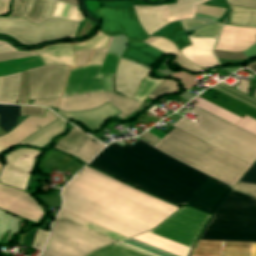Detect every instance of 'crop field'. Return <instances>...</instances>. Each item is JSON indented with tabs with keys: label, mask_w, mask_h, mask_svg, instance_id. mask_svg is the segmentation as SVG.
Wrapping results in <instances>:
<instances>
[{
	"label": "crop field",
	"mask_w": 256,
	"mask_h": 256,
	"mask_svg": "<svg viewBox=\"0 0 256 256\" xmlns=\"http://www.w3.org/2000/svg\"><path fill=\"white\" fill-rule=\"evenodd\" d=\"M92 51H81L75 52L76 55V67L79 65L86 64Z\"/></svg>",
	"instance_id": "obj_53"
},
{
	"label": "crop field",
	"mask_w": 256,
	"mask_h": 256,
	"mask_svg": "<svg viewBox=\"0 0 256 256\" xmlns=\"http://www.w3.org/2000/svg\"><path fill=\"white\" fill-rule=\"evenodd\" d=\"M119 59L118 55L107 54L103 66L100 70L99 75H110L113 76L115 68L117 66V61Z\"/></svg>",
	"instance_id": "obj_41"
},
{
	"label": "crop field",
	"mask_w": 256,
	"mask_h": 256,
	"mask_svg": "<svg viewBox=\"0 0 256 256\" xmlns=\"http://www.w3.org/2000/svg\"><path fill=\"white\" fill-rule=\"evenodd\" d=\"M17 104H28L27 70L22 72Z\"/></svg>",
	"instance_id": "obj_44"
},
{
	"label": "crop field",
	"mask_w": 256,
	"mask_h": 256,
	"mask_svg": "<svg viewBox=\"0 0 256 256\" xmlns=\"http://www.w3.org/2000/svg\"><path fill=\"white\" fill-rule=\"evenodd\" d=\"M69 68L62 65H50L29 69V99L60 96Z\"/></svg>",
	"instance_id": "obj_12"
},
{
	"label": "crop field",
	"mask_w": 256,
	"mask_h": 256,
	"mask_svg": "<svg viewBox=\"0 0 256 256\" xmlns=\"http://www.w3.org/2000/svg\"><path fill=\"white\" fill-rule=\"evenodd\" d=\"M62 196V210L126 238L156 227L178 209L87 167Z\"/></svg>",
	"instance_id": "obj_1"
},
{
	"label": "crop field",
	"mask_w": 256,
	"mask_h": 256,
	"mask_svg": "<svg viewBox=\"0 0 256 256\" xmlns=\"http://www.w3.org/2000/svg\"><path fill=\"white\" fill-rule=\"evenodd\" d=\"M199 97H201V98H203V99H205V100H207V101H209V102H211V103H213V104H215V105H217V106H219V107H221V108H223V109H225V110H227V111H229V112H231V113H233V114H235V115H237L241 118H243V116H244L243 114H241V113H239V112H237V111H235V110H233V109H231V108H229V107H227V106H225V105H223V104H221V103H219V102H217V101H215V100H213V99H211V98H209V97H207L203 94L199 95Z\"/></svg>",
	"instance_id": "obj_54"
},
{
	"label": "crop field",
	"mask_w": 256,
	"mask_h": 256,
	"mask_svg": "<svg viewBox=\"0 0 256 256\" xmlns=\"http://www.w3.org/2000/svg\"><path fill=\"white\" fill-rule=\"evenodd\" d=\"M65 123V121L59 118L57 121L34 133L20 144H31L43 147L49 142L52 136L64 131Z\"/></svg>",
	"instance_id": "obj_29"
},
{
	"label": "crop field",
	"mask_w": 256,
	"mask_h": 256,
	"mask_svg": "<svg viewBox=\"0 0 256 256\" xmlns=\"http://www.w3.org/2000/svg\"><path fill=\"white\" fill-rule=\"evenodd\" d=\"M177 89L178 87L176 83L164 80L149 97L156 99L159 95L163 93L172 92Z\"/></svg>",
	"instance_id": "obj_45"
},
{
	"label": "crop field",
	"mask_w": 256,
	"mask_h": 256,
	"mask_svg": "<svg viewBox=\"0 0 256 256\" xmlns=\"http://www.w3.org/2000/svg\"><path fill=\"white\" fill-rule=\"evenodd\" d=\"M233 189L256 197V185L238 182Z\"/></svg>",
	"instance_id": "obj_49"
},
{
	"label": "crop field",
	"mask_w": 256,
	"mask_h": 256,
	"mask_svg": "<svg viewBox=\"0 0 256 256\" xmlns=\"http://www.w3.org/2000/svg\"><path fill=\"white\" fill-rule=\"evenodd\" d=\"M229 4L256 8V0H227ZM256 43V28L223 25L214 49L240 52Z\"/></svg>",
	"instance_id": "obj_16"
},
{
	"label": "crop field",
	"mask_w": 256,
	"mask_h": 256,
	"mask_svg": "<svg viewBox=\"0 0 256 256\" xmlns=\"http://www.w3.org/2000/svg\"><path fill=\"white\" fill-rule=\"evenodd\" d=\"M89 165L174 204H187L196 193L109 146Z\"/></svg>",
	"instance_id": "obj_2"
},
{
	"label": "crop field",
	"mask_w": 256,
	"mask_h": 256,
	"mask_svg": "<svg viewBox=\"0 0 256 256\" xmlns=\"http://www.w3.org/2000/svg\"><path fill=\"white\" fill-rule=\"evenodd\" d=\"M162 80L151 79L149 75H147L140 83V88L134 95V99L139 101H144L147 96H149L153 90L160 84Z\"/></svg>",
	"instance_id": "obj_38"
},
{
	"label": "crop field",
	"mask_w": 256,
	"mask_h": 256,
	"mask_svg": "<svg viewBox=\"0 0 256 256\" xmlns=\"http://www.w3.org/2000/svg\"><path fill=\"white\" fill-rule=\"evenodd\" d=\"M221 24H213L206 27H203L194 32L193 35L188 37H203V38H217Z\"/></svg>",
	"instance_id": "obj_40"
},
{
	"label": "crop field",
	"mask_w": 256,
	"mask_h": 256,
	"mask_svg": "<svg viewBox=\"0 0 256 256\" xmlns=\"http://www.w3.org/2000/svg\"><path fill=\"white\" fill-rule=\"evenodd\" d=\"M57 112L67 119L80 120L93 131L97 130L105 120L120 113L108 103L88 111L64 112L58 109Z\"/></svg>",
	"instance_id": "obj_24"
},
{
	"label": "crop field",
	"mask_w": 256,
	"mask_h": 256,
	"mask_svg": "<svg viewBox=\"0 0 256 256\" xmlns=\"http://www.w3.org/2000/svg\"><path fill=\"white\" fill-rule=\"evenodd\" d=\"M54 0H24L20 9L22 15L33 23H41L50 18L54 11ZM52 17L66 18L80 23L84 17L77 6L58 2Z\"/></svg>",
	"instance_id": "obj_15"
},
{
	"label": "crop field",
	"mask_w": 256,
	"mask_h": 256,
	"mask_svg": "<svg viewBox=\"0 0 256 256\" xmlns=\"http://www.w3.org/2000/svg\"><path fill=\"white\" fill-rule=\"evenodd\" d=\"M117 244H120L122 246L131 248L133 250L139 251L141 253H144L150 256H173L171 254L165 253L163 251H160L155 248L149 247L147 245L141 244L139 242L133 241L131 239L124 240Z\"/></svg>",
	"instance_id": "obj_37"
},
{
	"label": "crop field",
	"mask_w": 256,
	"mask_h": 256,
	"mask_svg": "<svg viewBox=\"0 0 256 256\" xmlns=\"http://www.w3.org/2000/svg\"><path fill=\"white\" fill-rule=\"evenodd\" d=\"M217 58H223V59H233V60H242L246 59V57L240 52V53H233V52H223V51H216L214 50Z\"/></svg>",
	"instance_id": "obj_51"
},
{
	"label": "crop field",
	"mask_w": 256,
	"mask_h": 256,
	"mask_svg": "<svg viewBox=\"0 0 256 256\" xmlns=\"http://www.w3.org/2000/svg\"><path fill=\"white\" fill-rule=\"evenodd\" d=\"M127 44L128 46L124 51L122 58L137 61L150 68L162 55H164V53L152 48L144 42L135 43L127 40Z\"/></svg>",
	"instance_id": "obj_27"
},
{
	"label": "crop field",
	"mask_w": 256,
	"mask_h": 256,
	"mask_svg": "<svg viewBox=\"0 0 256 256\" xmlns=\"http://www.w3.org/2000/svg\"><path fill=\"white\" fill-rule=\"evenodd\" d=\"M58 118L46 108L44 117L28 116L11 132L0 137V151L19 143ZM0 208L29 220L38 221L43 217V211L30 195L4 185H0Z\"/></svg>",
	"instance_id": "obj_6"
},
{
	"label": "crop field",
	"mask_w": 256,
	"mask_h": 256,
	"mask_svg": "<svg viewBox=\"0 0 256 256\" xmlns=\"http://www.w3.org/2000/svg\"><path fill=\"white\" fill-rule=\"evenodd\" d=\"M60 98L56 99H46V100H34V105H42V106H51V107H58Z\"/></svg>",
	"instance_id": "obj_55"
},
{
	"label": "crop field",
	"mask_w": 256,
	"mask_h": 256,
	"mask_svg": "<svg viewBox=\"0 0 256 256\" xmlns=\"http://www.w3.org/2000/svg\"><path fill=\"white\" fill-rule=\"evenodd\" d=\"M59 216H62V217H64V218H67V219H70V220H72V221H75V222H77V223H79V224H81V225H83V226H85V227H87V228H89V229H92V230H94V231H96V232H99V233H101V234H103V235H106V236H108V237H110V238H113V239H115V240H117V241H120V240H122V239H125L124 237H122V236H120V235H117V234H115V233H113V232H110V231H108V230H106V229H104V228H101V227H99V226H97V225H95V224H93V223H91V222H88V221H86V220H83V219H81V218H79V217H76V216H74V215H71V214H69V213H67V212H64V211H60V213H59Z\"/></svg>",
	"instance_id": "obj_35"
},
{
	"label": "crop field",
	"mask_w": 256,
	"mask_h": 256,
	"mask_svg": "<svg viewBox=\"0 0 256 256\" xmlns=\"http://www.w3.org/2000/svg\"><path fill=\"white\" fill-rule=\"evenodd\" d=\"M109 146L153 167L171 178L185 166V164L152 148L153 146H149L140 139L131 147L127 144L121 148L114 143H111ZM208 177L209 176L186 165L172 179L198 191Z\"/></svg>",
	"instance_id": "obj_8"
},
{
	"label": "crop field",
	"mask_w": 256,
	"mask_h": 256,
	"mask_svg": "<svg viewBox=\"0 0 256 256\" xmlns=\"http://www.w3.org/2000/svg\"><path fill=\"white\" fill-rule=\"evenodd\" d=\"M38 151L18 149L6 156V163L0 173V182L25 189L33 161Z\"/></svg>",
	"instance_id": "obj_18"
},
{
	"label": "crop field",
	"mask_w": 256,
	"mask_h": 256,
	"mask_svg": "<svg viewBox=\"0 0 256 256\" xmlns=\"http://www.w3.org/2000/svg\"><path fill=\"white\" fill-rule=\"evenodd\" d=\"M17 116H20V106L0 105V125L6 132L15 125Z\"/></svg>",
	"instance_id": "obj_33"
},
{
	"label": "crop field",
	"mask_w": 256,
	"mask_h": 256,
	"mask_svg": "<svg viewBox=\"0 0 256 256\" xmlns=\"http://www.w3.org/2000/svg\"><path fill=\"white\" fill-rule=\"evenodd\" d=\"M136 241L153 246L177 256H187L190 248L179 245L171 240L146 232L132 237Z\"/></svg>",
	"instance_id": "obj_28"
},
{
	"label": "crop field",
	"mask_w": 256,
	"mask_h": 256,
	"mask_svg": "<svg viewBox=\"0 0 256 256\" xmlns=\"http://www.w3.org/2000/svg\"><path fill=\"white\" fill-rule=\"evenodd\" d=\"M60 1L68 2V3H72V4H77V0H60Z\"/></svg>",
	"instance_id": "obj_62"
},
{
	"label": "crop field",
	"mask_w": 256,
	"mask_h": 256,
	"mask_svg": "<svg viewBox=\"0 0 256 256\" xmlns=\"http://www.w3.org/2000/svg\"><path fill=\"white\" fill-rule=\"evenodd\" d=\"M20 73L0 78V103H13L18 96Z\"/></svg>",
	"instance_id": "obj_30"
},
{
	"label": "crop field",
	"mask_w": 256,
	"mask_h": 256,
	"mask_svg": "<svg viewBox=\"0 0 256 256\" xmlns=\"http://www.w3.org/2000/svg\"><path fill=\"white\" fill-rule=\"evenodd\" d=\"M190 112L198 116V123L194 124L182 117L172 126L252 165L256 159V136L197 107Z\"/></svg>",
	"instance_id": "obj_4"
},
{
	"label": "crop field",
	"mask_w": 256,
	"mask_h": 256,
	"mask_svg": "<svg viewBox=\"0 0 256 256\" xmlns=\"http://www.w3.org/2000/svg\"><path fill=\"white\" fill-rule=\"evenodd\" d=\"M213 88L256 109V99L240 92L237 89L231 88L222 82Z\"/></svg>",
	"instance_id": "obj_36"
},
{
	"label": "crop field",
	"mask_w": 256,
	"mask_h": 256,
	"mask_svg": "<svg viewBox=\"0 0 256 256\" xmlns=\"http://www.w3.org/2000/svg\"><path fill=\"white\" fill-rule=\"evenodd\" d=\"M114 242L117 241L57 216L40 256H85Z\"/></svg>",
	"instance_id": "obj_7"
},
{
	"label": "crop field",
	"mask_w": 256,
	"mask_h": 256,
	"mask_svg": "<svg viewBox=\"0 0 256 256\" xmlns=\"http://www.w3.org/2000/svg\"><path fill=\"white\" fill-rule=\"evenodd\" d=\"M240 181L256 184V162L250 167Z\"/></svg>",
	"instance_id": "obj_52"
},
{
	"label": "crop field",
	"mask_w": 256,
	"mask_h": 256,
	"mask_svg": "<svg viewBox=\"0 0 256 256\" xmlns=\"http://www.w3.org/2000/svg\"><path fill=\"white\" fill-rule=\"evenodd\" d=\"M21 0H14L13 2V13L9 16L12 17H20L23 18L22 15L20 14V12L18 11L19 5H20Z\"/></svg>",
	"instance_id": "obj_57"
},
{
	"label": "crop field",
	"mask_w": 256,
	"mask_h": 256,
	"mask_svg": "<svg viewBox=\"0 0 256 256\" xmlns=\"http://www.w3.org/2000/svg\"><path fill=\"white\" fill-rule=\"evenodd\" d=\"M147 73L148 70L140 66L120 60L115 75L117 91L132 98L138 87L139 81L144 78Z\"/></svg>",
	"instance_id": "obj_21"
},
{
	"label": "crop field",
	"mask_w": 256,
	"mask_h": 256,
	"mask_svg": "<svg viewBox=\"0 0 256 256\" xmlns=\"http://www.w3.org/2000/svg\"><path fill=\"white\" fill-rule=\"evenodd\" d=\"M108 40H109V37H107L106 35L100 32L96 37H94L90 41L79 43V44L73 45L72 47L74 51L89 50V49H104Z\"/></svg>",
	"instance_id": "obj_39"
},
{
	"label": "crop field",
	"mask_w": 256,
	"mask_h": 256,
	"mask_svg": "<svg viewBox=\"0 0 256 256\" xmlns=\"http://www.w3.org/2000/svg\"><path fill=\"white\" fill-rule=\"evenodd\" d=\"M110 43L111 39L105 50H95L88 65L103 61ZM102 63L72 69L63 96L103 91L101 76H97Z\"/></svg>",
	"instance_id": "obj_14"
},
{
	"label": "crop field",
	"mask_w": 256,
	"mask_h": 256,
	"mask_svg": "<svg viewBox=\"0 0 256 256\" xmlns=\"http://www.w3.org/2000/svg\"><path fill=\"white\" fill-rule=\"evenodd\" d=\"M223 240L201 239L196 249L222 251ZM247 242L226 240L224 251L246 253ZM193 254V253H192ZM193 256H221V253L195 251ZM224 256H246L224 253ZM249 256H256V243H251Z\"/></svg>",
	"instance_id": "obj_23"
},
{
	"label": "crop field",
	"mask_w": 256,
	"mask_h": 256,
	"mask_svg": "<svg viewBox=\"0 0 256 256\" xmlns=\"http://www.w3.org/2000/svg\"><path fill=\"white\" fill-rule=\"evenodd\" d=\"M208 0H177V4L161 6L166 15L179 13L183 11L193 10L196 4H202ZM136 15L140 21L142 27L148 34H153L158 29L162 28L169 22L184 19L193 18L195 10L183 12L179 14L166 16L160 6L157 7H139L134 6Z\"/></svg>",
	"instance_id": "obj_11"
},
{
	"label": "crop field",
	"mask_w": 256,
	"mask_h": 256,
	"mask_svg": "<svg viewBox=\"0 0 256 256\" xmlns=\"http://www.w3.org/2000/svg\"><path fill=\"white\" fill-rule=\"evenodd\" d=\"M79 24L62 19H49L32 25L24 19L0 18V33H5L23 44H37L49 39L74 37Z\"/></svg>",
	"instance_id": "obj_9"
},
{
	"label": "crop field",
	"mask_w": 256,
	"mask_h": 256,
	"mask_svg": "<svg viewBox=\"0 0 256 256\" xmlns=\"http://www.w3.org/2000/svg\"><path fill=\"white\" fill-rule=\"evenodd\" d=\"M44 108L35 106H21V116L24 115H39L43 116Z\"/></svg>",
	"instance_id": "obj_50"
},
{
	"label": "crop field",
	"mask_w": 256,
	"mask_h": 256,
	"mask_svg": "<svg viewBox=\"0 0 256 256\" xmlns=\"http://www.w3.org/2000/svg\"><path fill=\"white\" fill-rule=\"evenodd\" d=\"M167 154L191 165L211 146L177 129L155 145ZM191 166L227 184H235L250 165L212 147ZM241 178V177H240Z\"/></svg>",
	"instance_id": "obj_3"
},
{
	"label": "crop field",
	"mask_w": 256,
	"mask_h": 256,
	"mask_svg": "<svg viewBox=\"0 0 256 256\" xmlns=\"http://www.w3.org/2000/svg\"><path fill=\"white\" fill-rule=\"evenodd\" d=\"M226 105L256 120V110L252 109L251 107L234 99H231L229 102L226 103Z\"/></svg>",
	"instance_id": "obj_43"
},
{
	"label": "crop field",
	"mask_w": 256,
	"mask_h": 256,
	"mask_svg": "<svg viewBox=\"0 0 256 256\" xmlns=\"http://www.w3.org/2000/svg\"><path fill=\"white\" fill-rule=\"evenodd\" d=\"M102 78H103V84H104V91H112L113 92L112 77L102 76Z\"/></svg>",
	"instance_id": "obj_56"
},
{
	"label": "crop field",
	"mask_w": 256,
	"mask_h": 256,
	"mask_svg": "<svg viewBox=\"0 0 256 256\" xmlns=\"http://www.w3.org/2000/svg\"><path fill=\"white\" fill-rule=\"evenodd\" d=\"M230 189L228 185L210 177L188 205L212 214Z\"/></svg>",
	"instance_id": "obj_20"
},
{
	"label": "crop field",
	"mask_w": 256,
	"mask_h": 256,
	"mask_svg": "<svg viewBox=\"0 0 256 256\" xmlns=\"http://www.w3.org/2000/svg\"><path fill=\"white\" fill-rule=\"evenodd\" d=\"M173 76L178 78L183 83L186 90L193 87L194 85H196L193 76H191L189 74L180 72V73H177V74H173Z\"/></svg>",
	"instance_id": "obj_48"
},
{
	"label": "crop field",
	"mask_w": 256,
	"mask_h": 256,
	"mask_svg": "<svg viewBox=\"0 0 256 256\" xmlns=\"http://www.w3.org/2000/svg\"><path fill=\"white\" fill-rule=\"evenodd\" d=\"M15 50L13 47H11L9 44L0 41V52H6V51H13Z\"/></svg>",
	"instance_id": "obj_60"
},
{
	"label": "crop field",
	"mask_w": 256,
	"mask_h": 256,
	"mask_svg": "<svg viewBox=\"0 0 256 256\" xmlns=\"http://www.w3.org/2000/svg\"><path fill=\"white\" fill-rule=\"evenodd\" d=\"M201 237L256 241V199L230 191Z\"/></svg>",
	"instance_id": "obj_5"
},
{
	"label": "crop field",
	"mask_w": 256,
	"mask_h": 256,
	"mask_svg": "<svg viewBox=\"0 0 256 256\" xmlns=\"http://www.w3.org/2000/svg\"><path fill=\"white\" fill-rule=\"evenodd\" d=\"M224 11L225 9H222V8L210 7V6H204V5H197L196 7V13L211 15L217 18H220L223 15Z\"/></svg>",
	"instance_id": "obj_46"
},
{
	"label": "crop field",
	"mask_w": 256,
	"mask_h": 256,
	"mask_svg": "<svg viewBox=\"0 0 256 256\" xmlns=\"http://www.w3.org/2000/svg\"><path fill=\"white\" fill-rule=\"evenodd\" d=\"M107 102L122 112L117 116L123 119L138 109L141 105L140 102L118 96L117 94L90 93L64 97L61 99L59 108L64 111L87 110L101 106Z\"/></svg>",
	"instance_id": "obj_13"
},
{
	"label": "crop field",
	"mask_w": 256,
	"mask_h": 256,
	"mask_svg": "<svg viewBox=\"0 0 256 256\" xmlns=\"http://www.w3.org/2000/svg\"><path fill=\"white\" fill-rule=\"evenodd\" d=\"M174 33L163 38L171 40L177 46L178 50L190 44L182 28L175 30Z\"/></svg>",
	"instance_id": "obj_42"
},
{
	"label": "crop field",
	"mask_w": 256,
	"mask_h": 256,
	"mask_svg": "<svg viewBox=\"0 0 256 256\" xmlns=\"http://www.w3.org/2000/svg\"><path fill=\"white\" fill-rule=\"evenodd\" d=\"M9 0H0V14H6Z\"/></svg>",
	"instance_id": "obj_59"
},
{
	"label": "crop field",
	"mask_w": 256,
	"mask_h": 256,
	"mask_svg": "<svg viewBox=\"0 0 256 256\" xmlns=\"http://www.w3.org/2000/svg\"><path fill=\"white\" fill-rule=\"evenodd\" d=\"M103 19L104 33L120 32L129 40L143 41L149 36L139 26L134 9L102 8L96 11Z\"/></svg>",
	"instance_id": "obj_17"
},
{
	"label": "crop field",
	"mask_w": 256,
	"mask_h": 256,
	"mask_svg": "<svg viewBox=\"0 0 256 256\" xmlns=\"http://www.w3.org/2000/svg\"><path fill=\"white\" fill-rule=\"evenodd\" d=\"M230 24L237 26L256 27V9H246L234 6L230 19Z\"/></svg>",
	"instance_id": "obj_32"
},
{
	"label": "crop field",
	"mask_w": 256,
	"mask_h": 256,
	"mask_svg": "<svg viewBox=\"0 0 256 256\" xmlns=\"http://www.w3.org/2000/svg\"><path fill=\"white\" fill-rule=\"evenodd\" d=\"M209 217L188 207H182L157 228L149 232L191 248Z\"/></svg>",
	"instance_id": "obj_10"
},
{
	"label": "crop field",
	"mask_w": 256,
	"mask_h": 256,
	"mask_svg": "<svg viewBox=\"0 0 256 256\" xmlns=\"http://www.w3.org/2000/svg\"><path fill=\"white\" fill-rule=\"evenodd\" d=\"M254 98H256V90H255V93H254V96H253Z\"/></svg>",
	"instance_id": "obj_63"
},
{
	"label": "crop field",
	"mask_w": 256,
	"mask_h": 256,
	"mask_svg": "<svg viewBox=\"0 0 256 256\" xmlns=\"http://www.w3.org/2000/svg\"><path fill=\"white\" fill-rule=\"evenodd\" d=\"M150 45H152L153 47L165 52V53H172L174 55H176L177 58V62L180 63L182 66H184L185 68H187L188 70H190L191 72H199L200 70L196 67H194L193 65L189 64L188 62H186L178 53L176 47L161 38H154L151 37L148 40L144 41Z\"/></svg>",
	"instance_id": "obj_31"
},
{
	"label": "crop field",
	"mask_w": 256,
	"mask_h": 256,
	"mask_svg": "<svg viewBox=\"0 0 256 256\" xmlns=\"http://www.w3.org/2000/svg\"><path fill=\"white\" fill-rule=\"evenodd\" d=\"M247 67L250 68L253 72L256 73V65L251 64V65H249V66H247Z\"/></svg>",
	"instance_id": "obj_61"
},
{
	"label": "crop field",
	"mask_w": 256,
	"mask_h": 256,
	"mask_svg": "<svg viewBox=\"0 0 256 256\" xmlns=\"http://www.w3.org/2000/svg\"><path fill=\"white\" fill-rule=\"evenodd\" d=\"M181 23H182L184 29H187V28L203 25L205 22H202V21H182Z\"/></svg>",
	"instance_id": "obj_58"
},
{
	"label": "crop field",
	"mask_w": 256,
	"mask_h": 256,
	"mask_svg": "<svg viewBox=\"0 0 256 256\" xmlns=\"http://www.w3.org/2000/svg\"><path fill=\"white\" fill-rule=\"evenodd\" d=\"M191 45L180 54L196 66H215L218 61L212 52L217 39L189 38Z\"/></svg>",
	"instance_id": "obj_22"
},
{
	"label": "crop field",
	"mask_w": 256,
	"mask_h": 256,
	"mask_svg": "<svg viewBox=\"0 0 256 256\" xmlns=\"http://www.w3.org/2000/svg\"><path fill=\"white\" fill-rule=\"evenodd\" d=\"M30 56H36V54L32 52H19V51L0 53V61H6V60H12V59H18V58H24V57H30Z\"/></svg>",
	"instance_id": "obj_47"
},
{
	"label": "crop field",
	"mask_w": 256,
	"mask_h": 256,
	"mask_svg": "<svg viewBox=\"0 0 256 256\" xmlns=\"http://www.w3.org/2000/svg\"><path fill=\"white\" fill-rule=\"evenodd\" d=\"M91 139L93 138L74 127L68 135L60 140L55 148L70 153L87 163L104 147L103 144L97 141L91 142Z\"/></svg>",
	"instance_id": "obj_19"
},
{
	"label": "crop field",
	"mask_w": 256,
	"mask_h": 256,
	"mask_svg": "<svg viewBox=\"0 0 256 256\" xmlns=\"http://www.w3.org/2000/svg\"><path fill=\"white\" fill-rule=\"evenodd\" d=\"M38 54L44 65L63 64L75 67V56L70 44H59L32 51Z\"/></svg>",
	"instance_id": "obj_25"
},
{
	"label": "crop field",
	"mask_w": 256,
	"mask_h": 256,
	"mask_svg": "<svg viewBox=\"0 0 256 256\" xmlns=\"http://www.w3.org/2000/svg\"><path fill=\"white\" fill-rule=\"evenodd\" d=\"M88 256H146L120 245L114 244L91 253Z\"/></svg>",
	"instance_id": "obj_34"
},
{
	"label": "crop field",
	"mask_w": 256,
	"mask_h": 256,
	"mask_svg": "<svg viewBox=\"0 0 256 256\" xmlns=\"http://www.w3.org/2000/svg\"><path fill=\"white\" fill-rule=\"evenodd\" d=\"M193 101L197 102L195 106L202 108L254 135H256V121L245 116L243 119L197 97Z\"/></svg>",
	"instance_id": "obj_26"
}]
</instances>
